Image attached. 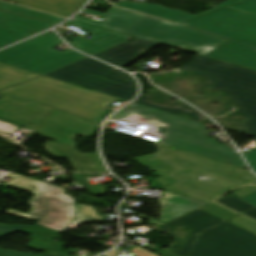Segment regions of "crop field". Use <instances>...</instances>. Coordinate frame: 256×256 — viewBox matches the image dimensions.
Returning <instances> with one entry per match:
<instances>
[{"label": "crop field", "mask_w": 256, "mask_h": 256, "mask_svg": "<svg viewBox=\"0 0 256 256\" xmlns=\"http://www.w3.org/2000/svg\"><path fill=\"white\" fill-rule=\"evenodd\" d=\"M153 143L158 147L155 155L133 160L162 175L155 180L163 189L209 204L201 210L224 220L240 214L215 201L255 182L256 176L249 170ZM228 222L256 234V220L252 218L241 214Z\"/></svg>", "instance_id": "crop-field-1"}, {"label": "crop field", "mask_w": 256, "mask_h": 256, "mask_svg": "<svg viewBox=\"0 0 256 256\" xmlns=\"http://www.w3.org/2000/svg\"><path fill=\"white\" fill-rule=\"evenodd\" d=\"M130 116L156 127L152 132L164 135L157 143L246 168L241 156L226 145L207 136V127L200 122L132 103L110 118Z\"/></svg>", "instance_id": "crop-field-2"}, {"label": "crop field", "mask_w": 256, "mask_h": 256, "mask_svg": "<svg viewBox=\"0 0 256 256\" xmlns=\"http://www.w3.org/2000/svg\"><path fill=\"white\" fill-rule=\"evenodd\" d=\"M21 101H34L61 109L99 125L109 105L118 98L42 76L26 84L0 91Z\"/></svg>", "instance_id": "crop-field-3"}, {"label": "crop field", "mask_w": 256, "mask_h": 256, "mask_svg": "<svg viewBox=\"0 0 256 256\" xmlns=\"http://www.w3.org/2000/svg\"><path fill=\"white\" fill-rule=\"evenodd\" d=\"M83 12L99 14L106 17L101 22H92L82 18L74 21L90 24L121 34L132 35L159 44L168 41L184 43L197 48L198 54L205 56L207 53L224 43L226 40L196 31L184 26L170 24L134 12L112 7L106 14L85 9Z\"/></svg>", "instance_id": "crop-field-4"}, {"label": "crop field", "mask_w": 256, "mask_h": 256, "mask_svg": "<svg viewBox=\"0 0 256 256\" xmlns=\"http://www.w3.org/2000/svg\"><path fill=\"white\" fill-rule=\"evenodd\" d=\"M184 25L230 40L208 57L256 69V15L225 8Z\"/></svg>", "instance_id": "crop-field-5"}, {"label": "crop field", "mask_w": 256, "mask_h": 256, "mask_svg": "<svg viewBox=\"0 0 256 256\" xmlns=\"http://www.w3.org/2000/svg\"><path fill=\"white\" fill-rule=\"evenodd\" d=\"M203 76L207 89L220 85L248 119L247 130L256 133V72L197 56L180 68Z\"/></svg>", "instance_id": "crop-field-6"}, {"label": "crop field", "mask_w": 256, "mask_h": 256, "mask_svg": "<svg viewBox=\"0 0 256 256\" xmlns=\"http://www.w3.org/2000/svg\"><path fill=\"white\" fill-rule=\"evenodd\" d=\"M14 178L7 186L19 188L36 194L30 204L32 210L29 215L19 211L8 209L6 214L16 217H27L40 220L38 224L59 232H64L72 222L75 214V200L64 194L65 190L57 186L33 180L12 173L8 175Z\"/></svg>", "instance_id": "crop-field-7"}, {"label": "crop field", "mask_w": 256, "mask_h": 256, "mask_svg": "<svg viewBox=\"0 0 256 256\" xmlns=\"http://www.w3.org/2000/svg\"><path fill=\"white\" fill-rule=\"evenodd\" d=\"M60 43L57 35L47 32L0 51V62L43 75L86 57L73 50L59 52L51 49Z\"/></svg>", "instance_id": "crop-field-8"}, {"label": "crop field", "mask_w": 256, "mask_h": 256, "mask_svg": "<svg viewBox=\"0 0 256 256\" xmlns=\"http://www.w3.org/2000/svg\"><path fill=\"white\" fill-rule=\"evenodd\" d=\"M115 70L101 62L87 58L45 76L130 101L137 91L133 79L120 83L102 78Z\"/></svg>", "instance_id": "crop-field-9"}, {"label": "crop field", "mask_w": 256, "mask_h": 256, "mask_svg": "<svg viewBox=\"0 0 256 256\" xmlns=\"http://www.w3.org/2000/svg\"><path fill=\"white\" fill-rule=\"evenodd\" d=\"M191 256H256V235L226 222L199 236Z\"/></svg>", "instance_id": "crop-field-10"}, {"label": "crop field", "mask_w": 256, "mask_h": 256, "mask_svg": "<svg viewBox=\"0 0 256 256\" xmlns=\"http://www.w3.org/2000/svg\"><path fill=\"white\" fill-rule=\"evenodd\" d=\"M222 222L224 220L198 210L158 228L169 232L168 235L174 237L172 245L166 250L179 256H188L197 238L195 234Z\"/></svg>", "instance_id": "crop-field-11"}, {"label": "crop field", "mask_w": 256, "mask_h": 256, "mask_svg": "<svg viewBox=\"0 0 256 256\" xmlns=\"http://www.w3.org/2000/svg\"><path fill=\"white\" fill-rule=\"evenodd\" d=\"M97 125L85 122L80 117L55 109L36 130L39 135L56 139L63 145L76 149L73 137L78 135H92Z\"/></svg>", "instance_id": "crop-field-12"}, {"label": "crop field", "mask_w": 256, "mask_h": 256, "mask_svg": "<svg viewBox=\"0 0 256 256\" xmlns=\"http://www.w3.org/2000/svg\"><path fill=\"white\" fill-rule=\"evenodd\" d=\"M52 108L28 101L9 98H0V116L27 125L28 130H36Z\"/></svg>", "instance_id": "crop-field-13"}, {"label": "crop field", "mask_w": 256, "mask_h": 256, "mask_svg": "<svg viewBox=\"0 0 256 256\" xmlns=\"http://www.w3.org/2000/svg\"><path fill=\"white\" fill-rule=\"evenodd\" d=\"M51 26L53 25L0 11V48L30 36L31 31L39 32Z\"/></svg>", "instance_id": "crop-field-14"}, {"label": "crop field", "mask_w": 256, "mask_h": 256, "mask_svg": "<svg viewBox=\"0 0 256 256\" xmlns=\"http://www.w3.org/2000/svg\"><path fill=\"white\" fill-rule=\"evenodd\" d=\"M69 23L90 31L88 34L94 36L89 40H86L80 36L71 39V43L75 48L82 50L90 55L107 49L129 38L128 36L110 32L90 25L74 22L71 20L69 21Z\"/></svg>", "instance_id": "crop-field-15"}, {"label": "crop field", "mask_w": 256, "mask_h": 256, "mask_svg": "<svg viewBox=\"0 0 256 256\" xmlns=\"http://www.w3.org/2000/svg\"><path fill=\"white\" fill-rule=\"evenodd\" d=\"M46 151L57 158H69L77 172L106 173L104 165L97 154H80L78 150H71L53 142L44 144Z\"/></svg>", "instance_id": "crop-field-16"}, {"label": "crop field", "mask_w": 256, "mask_h": 256, "mask_svg": "<svg viewBox=\"0 0 256 256\" xmlns=\"http://www.w3.org/2000/svg\"><path fill=\"white\" fill-rule=\"evenodd\" d=\"M156 45L159 44L138 39L133 42H126L94 56L103 61L123 68L128 65L130 60L134 58L139 52L143 51L148 47Z\"/></svg>", "instance_id": "crop-field-17"}, {"label": "crop field", "mask_w": 256, "mask_h": 256, "mask_svg": "<svg viewBox=\"0 0 256 256\" xmlns=\"http://www.w3.org/2000/svg\"><path fill=\"white\" fill-rule=\"evenodd\" d=\"M159 202L161 206L159 220L165 223L206 205L171 192H167L164 199Z\"/></svg>", "instance_id": "crop-field-18"}, {"label": "crop field", "mask_w": 256, "mask_h": 256, "mask_svg": "<svg viewBox=\"0 0 256 256\" xmlns=\"http://www.w3.org/2000/svg\"><path fill=\"white\" fill-rule=\"evenodd\" d=\"M20 232L32 235L30 238L34 240L28 243L27 246L40 251L49 252L56 256H67L63 251V246L65 244L52 240L59 236V232L41 227L37 224L30 228L21 230Z\"/></svg>", "instance_id": "crop-field-19"}, {"label": "crop field", "mask_w": 256, "mask_h": 256, "mask_svg": "<svg viewBox=\"0 0 256 256\" xmlns=\"http://www.w3.org/2000/svg\"><path fill=\"white\" fill-rule=\"evenodd\" d=\"M8 1L68 17L69 15L77 11L86 0H8Z\"/></svg>", "instance_id": "crop-field-20"}, {"label": "crop field", "mask_w": 256, "mask_h": 256, "mask_svg": "<svg viewBox=\"0 0 256 256\" xmlns=\"http://www.w3.org/2000/svg\"><path fill=\"white\" fill-rule=\"evenodd\" d=\"M116 6L123 7L138 13L146 14L156 18L173 21L176 23H181L182 21L195 17L191 14L179 11V10H169L158 5L153 4H132L130 2H121ZM201 15V14H198ZM196 15V16H198Z\"/></svg>", "instance_id": "crop-field-21"}, {"label": "crop field", "mask_w": 256, "mask_h": 256, "mask_svg": "<svg viewBox=\"0 0 256 256\" xmlns=\"http://www.w3.org/2000/svg\"><path fill=\"white\" fill-rule=\"evenodd\" d=\"M38 76L40 75L0 63V90Z\"/></svg>", "instance_id": "crop-field-22"}, {"label": "crop field", "mask_w": 256, "mask_h": 256, "mask_svg": "<svg viewBox=\"0 0 256 256\" xmlns=\"http://www.w3.org/2000/svg\"><path fill=\"white\" fill-rule=\"evenodd\" d=\"M0 7L3 11L9 12V13L22 15V16H26V17L54 23V24H57L60 21L64 20L63 18H59V17L52 16V15H49L46 13L23 8L20 6L12 5L9 3L2 2V1H0Z\"/></svg>", "instance_id": "crop-field-23"}, {"label": "crop field", "mask_w": 256, "mask_h": 256, "mask_svg": "<svg viewBox=\"0 0 256 256\" xmlns=\"http://www.w3.org/2000/svg\"><path fill=\"white\" fill-rule=\"evenodd\" d=\"M97 211L93 210L92 206L77 204V214L72 224H80L81 222L92 223L100 222L102 216L96 215Z\"/></svg>", "instance_id": "crop-field-24"}, {"label": "crop field", "mask_w": 256, "mask_h": 256, "mask_svg": "<svg viewBox=\"0 0 256 256\" xmlns=\"http://www.w3.org/2000/svg\"><path fill=\"white\" fill-rule=\"evenodd\" d=\"M148 99H149L148 96H140L135 102L139 103V104L146 105V106H150V107H153V108H157V109H160V110H163V111H167V112H170L172 114L186 116V117H189V118H192V119H195V120L201 122V117L198 114L191 113V112H186V111H183L181 109L165 108V107H160V106H157V105H153V104H150V103L147 102Z\"/></svg>", "instance_id": "crop-field-25"}, {"label": "crop field", "mask_w": 256, "mask_h": 256, "mask_svg": "<svg viewBox=\"0 0 256 256\" xmlns=\"http://www.w3.org/2000/svg\"><path fill=\"white\" fill-rule=\"evenodd\" d=\"M217 202L222 203L240 213L255 207V206L250 205L242 200L237 199L234 196H227L223 199L218 200Z\"/></svg>", "instance_id": "crop-field-26"}, {"label": "crop field", "mask_w": 256, "mask_h": 256, "mask_svg": "<svg viewBox=\"0 0 256 256\" xmlns=\"http://www.w3.org/2000/svg\"><path fill=\"white\" fill-rule=\"evenodd\" d=\"M241 1H243V0H241ZM241 1H239V2H241ZM229 8H233V9L241 10V11H244V12L256 14V0H247L243 3L241 2L239 4L231 6Z\"/></svg>", "instance_id": "crop-field-27"}, {"label": "crop field", "mask_w": 256, "mask_h": 256, "mask_svg": "<svg viewBox=\"0 0 256 256\" xmlns=\"http://www.w3.org/2000/svg\"><path fill=\"white\" fill-rule=\"evenodd\" d=\"M0 256H52V255H49V254H41V255L24 254V253H20L17 251L0 248Z\"/></svg>", "instance_id": "crop-field-28"}, {"label": "crop field", "mask_w": 256, "mask_h": 256, "mask_svg": "<svg viewBox=\"0 0 256 256\" xmlns=\"http://www.w3.org/2000/svg\"><path fill=\"white\" fill-rule=\"evenodd\" d=\"M27 227L29 226L0 224V231L3 232L5 235H7Z\"/></svg>", "instance_id": "crop-field-29"}, {"label": "crop field", "mask_w": 256, "mask_h": 256, "mask_svg": "<svg viewBox=\"0 0 256 256\" xmlns=\"http://www.w3.org/2000/svg\"><path fill=\"white\" fill-rule=\"evenodd\" d=\"M105 78H109V79H113V80H117V81H125V80H128V79H131V77L119 70L105 76Z\"/></svg>", "instance_id": "crop-field-30"}, {"label": "crop field", "mask_w": 256, "mask_h": 256, "mask_svg": "<svg viewBox=\"0 0 256 256\" xmlns=\"http://www.w3.org/2000/svg\"><path fill=\"white\" fill-rule=\"evenodd\" d=\"M256 191V183L250 185V186H247L237 192H234L235 195H237L239 198H242L248 194H251L253 192Z\"/></svg>", "instance_id": "crop-field-31"}, {"label": "crop field", "mask_w": 256, "mask_h": 256, "mask_svg": "<svg viewBox=\"0 0 256 256\" xmlns=\"http://www.w3.org/2000/svg\"><path fill=\"white\" fill-rule=\"evenodd\" d=\"M243 155L245 156L246 160L248 161L250 167L255 171L256 173V149L252 150L251 153L245 155L243 152Z\"/></svg>", "instance_id": "crop-field-32"}, {"label": "crop field", "mask_w": 256, "mask_h": 256, "mask_svg": "<svg viewBox=\"0 0 256 256\" xmlns=\"http://www.w3.org/2000/svg\"><path fill=\"white\" fill-rule=\"evenodd\" d=\"M164 45H168V46H172V47H176V48H180V49H184V50H188V51H192V52H196L197 53L196 48L188 46V45H184V44H181V43L173 44V43L168 42V43H166Z\"/></svg>", "instance_id": "crop-field-33"}, {"label": "crop field", "mask_w": 256, "mask_h": 256, "mask_svg": "<svg viewBox=\"0 0 256 256\" xmlns=\"http://www.w3.org/2000/svg\"><path fill=\"white\" fill-rule=\"evenodd\" d=\"M132 252H134L135 254H138L140 256H156L151 252H148L140 247H135L133 250H131Z\"/></svg>", "instance_id": "crop-field-34"}, {"label": "crop field", "mask_w": 256, "mask_h": 256, "mask_svg": "<svg viewBox=\"0 0 256 256\" xmlns=\"http://www.w3.org/2000/svg\"><path fill=\"white\" fill-rule=\"evenodd\" d=\"M239 0H228L226 1L225 3L217 6L216 8L212 9V10H209V11H206L204 13H207V12H210V11H213V10H216V9H219V8H222V7H225V6H228V5H231V4H235V3H238ZM204 13H201V14H204Z\"/></svg>", "instance_id": "crop-field-35"}, {"label": "crop field", "mask_w": 256, "mask_h": 256, "mask_svg": "<svg viewBox=\"0 0 256 256\" xmlns=\"http://www.w3.org/2000/svg\"><path fill=\"white\" fill-rule=\"evenodd\" d=\"M243 200H245V201H247V202H249V203H251V204L256 206V194H254L252 196H249V197H247V198H245Z\"/></svg>", "instance_id": "crop-field-36"}, {"label": "crop field", "mask_w": 256, "mask_h": 256, "mask_svg": "<svg viewBox=\"0 0 256 256\" xmlns=\"http://www.w3.org/2000/svg\"><path fill=\"white\" fill-rule=\"evenodd\" d=\"M244 215H247L249 217H252V218L256 219V208L247 212V213H245Z\"/></svg>", "instance_id": "crop-field-37"}, {"label": "crop field", "mask_w": 256, "mask_h": 256, "mask_svg": "<svg viewBox=\"0 0 256 256\" xmlns=\"http://www.w3.org/2000/svg\"><path fill=\"white\" fill-rule=\"evenodd\" d=\"M91 2H92V1H91ZM106 2H107V1H105V0H93L92 3H97V4H100V5H105Z\"/></svg>", "instance_id": "crop-field-38"}, {"label": "crop field", "mask_w": 256, "mask_h": 256, "mask_svg": "<svg viewBox=\"0 0 256 256\" xmlns=\"http://www.w3.org/2000/svg\"><path fill=\"white\" fill-rule=\"evenodd\" d=\"M0 236H2V235L0 234Z\"/></svg>", "instance_id": "crop-field-39"}, {"label": "crop field", "mask_w": 256, "mask_h": 256, "mask_svg": "<svg viewBox=\"0 0 256 256\" xmlns=\"http://www.w3.org/2000/svg\"><path fill=\"white\" fill-rule=\"evenodd\" d=\"M2 95H0V97H1Z\"/></svg>", "instance_id": "crop-field-40"}, {"label": "crop field", "mask_w": 256, "mask_h": 256, "mask_svg": "<svg viewBox=\"0 0 256 256\" xmlns=\"http://www.w3.org/2000/svg\"><path fill=\"white\" fill-rule=\"evenodd\" d=\"M135 256H138V255H135Z\"/></svg>", "instance_id": "crop-field-41"}]
</instances>
